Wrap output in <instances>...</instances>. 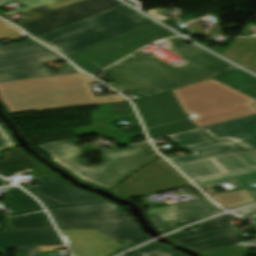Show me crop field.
I'll use <instances>...</instances> for the list:
<instances>
[{"mask_svg": "<svg viewBox=\"0 0 256 256\" xmlns=\"http://www.w3.org/2000/svg\"><path fill=\"white\" fill-rule=\"evenodd\" d=\"M38 181L41 186L28 191L41 200L48 210L111 203L97 195L77 190L54 177Z\"/></svg>", "mask_w": 256, "mask_h": 256, "instance_id": "crop-field-12", "label": "crop field"}, {"mask_svg": "<svg viewBox=\"0 0 256 256\" xmlns=\"http://www.w3.org/2000/svg\"><path fill=\"white\" fill-rule=\"evenodd\" d=\"M166 137H169L181 148L199 146L209 142H213V140H211L207 135H205L199 129L176 134V135L166 136ZM166 137H162V138H166ZM162 138H157L156 140L162 139Z\"/></svg>", "mask_w": 256, "mask_h": 256, "instance_id": "crop-field-26", "label": "crop field"}, {"mask_svg": "<svg viewBox=\"0 0 256 256\" xmlns=\"http://www.w3.org/2000/svg\"><path fill=\"white\" fill-rule=\"evenodd\" d=\"M36 163L17 148L5 153L4 160L0 161V174L8 177L22 169L37 166Z\"/></svg>", "mask_w": 256, "mask_h": 256, "instance_id": "crop-field-24", "label": "crop field"}, {"mask_svg": "<svg viewBox=\"0 0 256 256\" xmlns=\"http://www.w3.org/2000/svg\"><path fill=\"white\" fill-rule=\"evenodd\" d=\"M190 186L186 179L159 158L110 192L132 198Z\"/></svg>", "mask_w": 256, "mask_h": 256, "instance_id": "crop-field-8", "label": "crop field"}, {"mask_svg": "<svg viewBox=\"0 0 256 256\" xmlns=\"http://www.w3.org/2000/svg\"><path fill=\"white\" fill-rule=\"evenodd\" d=\"M22 36H24V34L20 32L18 29L7 23L0 21V39L6 38L10 41H13Z\"/></svg>", "mask_w": 256, "mask_h": 256, "instance_id": "crop-field-32", "label": "crop field"}, {"mask_svg": "<svg viewBox=\"0 0 256 256\" xmlns=\"http://www.w3.org/2000/svg\"><path fill=\"white\" fill-rule=\"evenodd\" d=\"M118 212L117 205H98L49 211L52 218Z\"/></svg>", "mask_w": 256, "mask_h": 256, "instance_id": "crop-field-25", "label": "crop field"}, {"mask_svg": "<svg viewBox=\"0 0 256 256\" xmlns=\"http://www.w3.org/2000/svg\"><path fill=\"white\" fill-rule=\"evenodd\" d=\"M135 103L152 139L197 128L187 119L171 91Z\"/></svg>", "mask_w": 256, "mask_h": 256, "instance_id": "crop-field-7", "label": "crop field"}, {"mask_svg": "<svg viewBox=\"0 0 256 256\" xmlns=\"http://www.w3.org/2000/svg\"><path fill=\"white\" fill-rule=\"evenodd\" d=\"M4 194L6 195V197H9V196H14V195L25 194V192H23L22 190H20L17 187H14V188H11L10 190H8Z\"/></svg>", "mask_w": 256, "mask_h": 256, "instance_id": "crop-field-37", "label": "crop field"}, {"mask_svg": "<svg viewBox=\"0 0 256 256\" xmlns=\"http://www.w3.org/2000/svg\"><path fill=\"white\" fill-rule=\"evenodd\" d=\"M215 24L217 25V27L214 28L212 31H208L206 35H222L220 29V22H216Z\"/></svg>", "mask_w": 256, "mask_h": 256, "instance_id": "crop-field-38", "label": "crop field"}, {"mask_svg": "<svg viewBox=\"0 0 256 256\" xmlns=\"http://www.w3.org/2000/svg\"><path fill=\"white\" fill-rule=\"evenodd\" d=\"M132 256H182L163 246L153 243L141 250L133 252Z\"/></svg>", "mask_w": 256, "mask_h": 256, "instance_id": "crop-field-30", "label": "crop field"}, {"mask_svg": "<svg viewBox=\"0 0 256 256\" xmlns=\"http://www.w3.org/2000/svg\"><path fill=\"white\" fill-rule=\"evenodd\" d=\"M103 72L118 81L109 84L121 92L135 91L145 97L159 94L115 65Z\"/></svg>", "mask_w": 256, "mask_h": 256, "instance_id": "crop-field-19", "label": "crop field"}, {"mask_svg": "<svg viewBox=\"0 0 256 256\" xmlns=\"http://www.w3.org/2000/svg\"><path fill=\"white\" fill-rule=\"evenodd\" d=\"M1 180H3V179L0 178V181H1Z\"/></svg>", "mask_w": 256, "mask_h": 256, "instance_id": "crop-field-43", "label": "crop field"}, {"mask_svg": "<svg viewBox=\"0 0 256 256\" xmlns=\"http://www.w3.org/2000/svg\"><path fill=\"white\" fill-rule=\"evenodd\" d=\"M250 190V192L253 194V196L256 198V188H251V189H249ZM248 190V191H249Z\"/></svg>", "mask_w": 256, "mask_h": 256, "instance_id": "crop-field-40", "label": "crop field"}, {"mask_svg": "<svg viewBox=\"0 0 256 256\" xmlns=\"http://www.w3.org/2000/svg\"><path fill=\"white\" fill-rule=\"evenodd\" d=\"M61 232L75 256H106L120 248H128L95 230H61Z\"/></svg>", "mask_w": 256, "mask_h": 256, "instance_id": "crop-field-15", "label": "crop field"}, {"mask_svg": "<svg viewBox=\"0 0 256 256\" xmlns=\"http://www.w3.org/2000/svg\"><path fill=\"white\" fill-rule=\"evenodd\" d=\"M33 169L35 170V176L34 177H40V176L50 174L49 172H47V169L42 165L38 166V167H34Z\"/></svg>", "mask_w": 256, "mask_h": 256, "instance_id": "crop-field-36", "label": "crop field"}, {"mask_svg": "<svg viewBox=\"0 0 256 256\" xmlns=\"http://www.w3.org/2000/svg\"><path fill=\"white\" fill-rule=\"evenodd\" d=\"M242 149H251L256 147V138L238 142L237 143Z\"/></svg>", "mask_w": 256, "mask_h": 256, "instance_id": "crop-field-34", "label": "crop field"}, {"mask_svg": "<svg viewBox=\"0 0 256 256\" xmlns=\"http://www.w3.org/2000/svg\"><path fill=\"white\" fill-rule=\"evenodd\" d=\"M233 220L238 219L230 215L222 216L199 228L188 232L176 233L168 238L197 252L243 242L237 235L246 234L247 232L239 233L235 228L249 225L250 223L230 227L226 222Z\"/></svg>", "mask_w": 256, "mask_h": 256, "instance_id": "crop-field-10", "label": "crop field"}, {"mask_svg": "<svg viewBox=\"0 0 256 256\" xmlns=\"http://www.w3.org/2000/svg\"><path fill=\"white\" fill-rule=\"evenodd\" d=\"M174 36L153 23L87 49L68 55L81 69L93 74L118 61L133 51L159 39ZM157 37L156 39H153Z\"/></svg>", "mask_w": 256, "mask_h": 256, "instance_id": "crop-field-5", "label": "crop field"}, {"mask_svg": "<svg viewBox=\"0 0 256 256\" xmlns=\"http://www.w3.org/2000/svg\"><path fill=\"white\" fill-rule=\"evenodd\" d=\"M202 189L219 186L220 183L231 182L240 189L250 188L256 183V168L240 172L200 179L194 181Z\"/></svg>", "mask_w": 256, "mask_h": 256, "instance_id": "crop-field-20", "label": "crop field"}, {"mask_svg": "<svg viewBox=\"0 0 256 256\" xmlns=\"http://www.w3.org/2000/svg\"><path fill=\"white\" fill-rule=\"evenodd\" d=\"M192 180L256 167V150L177 165Z\"/></svg>", "mask_w": 256, "mask_h": 256, "instance_id": "crop-field-13", "label": "crop field"}, {"mask_svg": "<svg viewBox=\"0 0 256 256\" xmlns=\"http://www.w3.org/2000/svg\"><path fill=\"white\" fill-rule=\"evenodd\" d=\"M210 197H212L214 200H216L218 203L226 208H233L255 202L253 197L248 193L246 189L211 195Z\"/></svg>", "mask_w": 256, "mask_h": 256, "instance_id": "crop-field-28", "label": "crop field"}, {"mask_svg": "<svg viewBox=\"0 0 256 256\" xmlns=\"http://www.w3.org/2000/svg\"><path fill=\"white\" fill-rule=\"evenodd\" d=\"M252 220H254L256 222V218H253Z\"/></svg>", "mask_w": 256, "mask_h": 256, "instance_id": "crop-field-42", "label": "crop field"}, {"mask_svg": "<svg viewBox=\"0 0 256 256\" xmlns=\"http://www.w3.org/2000/svg\"><path fill=\"white\" fill-rule=\"evenodd\" d=\"M77 138L37 145L46 151L53 160L72 172L81 180L104 188H111L135 170L155 159L157 154L148 142L125 149L112 147L111 152L102 153V164L88 166L82 159L92 150L88 145L77 146Z\"/></svg>", "mask_w": 256, "mask_h": 256, "instance_id": "crop-field-3", "label": "crop field"}, {"mask_svg": "<svg viewBox=\"0 0 256 256\" xmlns=\"http://www.w3.org/2000/svg\"><path fill=\"white\" fill-rule=\"evenodd\" d=\"M238 213L247 217V218L256 217V206H254L252 208H249V209H246V210H243V211H240Z\"/></svg>", "mask_w": 256, "mask_h": 256, "instance_id": "crop-field-35", "label": "crop field"}, {"mask_svg": "<svg viewBox=\"0 0 256 256\" xmlns=\"http://www.w3.org/2000/svg\"><path fill=\"white\" fill-rule=\"evenodd\" d=\"M81 6L84 10L89 11L87 14H79L74 17V15L68 12V8L72 6ZM121 5L115 0H84L77 2L54 11H49L45 5L34 9L38 13L44 15L45 17L38 20L21 25L26 31H28L33 36L37 37L51 31L69 26L78 21L86 19L90 16L98 14L100 12L106 11L113 7Z\"/></svg>", "mask_w": 256, "mask_h": 256, "instance_id": "crop-field-11", "label": "crop field"}, {"mask_svg": "<svg viewBox=\"0 0 256 256\" xmlns=\"http://www.w3.org/2000/svg\"><path fill=\"white\" fill-rule=\"evenodd\" d=\"M63 245L56 231L0 233V247L18 248L17 256H40L39 246Z\"/></svg>", "mask_w": 256, "mask_h": 256, "instance_id": "crop-field-16", "label": "crop field"}, {"mask_svg": "<svg viewBox=\"0 0 256 256\" xmlns=\"http://www.w3.org/2000/svg\"><path fill=\"white\" fill-rule=\"evenodd\" d=\"M8 231L55 230L45 212L6 219Z\"/></svg>", "mask_w": 256, "mask_h": 256, "instance_id": "crop-field-21", "label": "crop field"}, {"mask_svg": "<svg viewBox=\"0 0 256 256\" xmlns=\"http://www.w3.org/2000/svg\"><path fill=\"white\" fill-rule=\"evenodd\" d=\"M150 23L153 22L121 5L37 38L68 55Z\"/></svg>", "mask_w": 256, "mask_h": 256, "instance_id": "crop-field-4", "label": "crop field"}, {"mask_svg": "<svg viewBox=\"0 0 256 256\" xmlns=\"http://www.w3.org/2000/svg\"><path fill=\"white\" fill-rule=\"evenodd\" d=\"M188 27L192 30L194 34L203 35V33L198 28H196L192 23L188 24Z\"/></svg>", "mask_w": 256, "mask_h": 256, "instance_id": "crop-field-39", "label": "crop field"}, {"mask_svg": "<svg viewBox=\"0 0 256 256\" xmlns=\"http://www.w3.org/2000/svg\"><path fill=\"white\" fill-rule=\"evenodd\" d=\"M220 54L256 72V38H235Z\"/></svg>", "mask_w": 256, "mask_h": 256, "instance_id": "crop-field-18", "label": "crop field"}, {"mask_svg": "<svg viewBox=\"0 0 256 256\" xmlns=\"http://www.w3.org/2000/svg\"><path fill=\"white\" fill-rule=\"evenodd\" d=\"M77 1H80V0H30L31 3L24 6V8H20V9L5 13L3 15H1V14L0 15L3 16V17H6V16H9V15L18 13V12L24 13L26 11L34 9L38 6L43 5V4H45L48 9L53 10V9H56V8H59V7L77 2Z\"/></svg>", "mask_w": 256, "mask_h": 256, "instance_id": "crop-field-29", "label": "crop field"}, {"mask_svg": "<svg viewBox=\"0 0 256 256\" xmlns=\"http://www.w3.org/2000/svg\"><path fill=\"white\" fill-rule=\"evenodd\" d=\"M165 41L170 44V51L188 62L175 66L154 55L140 59L132 55L115 65L160 93L235 68L194 45L182 44L185 40L181 38Z\"/></svg>", "mask_w": 256, "mask_h": 256, "instance_id": "crop-field-2", "label": "crop field"}, {"mask_svg": "<svg viewBox=\"0 0 256 256\" xmlns=\"http://www.w3.org/2000/svg\"><path fill=\"white\" fill-rule=\"evenodd\" d=\"M214 78L256 99V78L239 70L238 68Z\"/></svg>", "mask_w": 256, "mask_h": 256, "instance_id": "crop-field-22", "label": "crop field"}, {"mask_svg": "<svg viewBox=\"0 0 256 256\" xmlns=\"http://www.w3.org/2000/svg\"><path fill=\"white\" fill-rule=\"evenodd\" d=\"M245 253L246 251L243 246L236 247L234 245L201 252L205 256H239L245 255Z\"/></svg>", "mask_w": 256, "mask_h": 256, "instance_id": "crop-field-31", "label": "crop field"}, {"mask_svg": "<svg viewBox=\"0 0 256 256\" xmlns=\"http://www.w3.org/2000/svg\"><path fill=\"white\" fill-rule=\"evenodd\" d=\"M220 210L206 198L170 205L147 211V215L158 231L173 229L176 224L185 223L193 218H205Z\"/></svg>", "mask_w": 256, "mask_h": 256, "instance_id": "crop-field-14", "label": "crop field"}, {"mask_svg": "<svg viewBox=\"0 0 256 256\" xmlns=\"http://www.w3.org/2000/svg\"><path fill=\"white\" fill-rule=\"evenodd\" d=\"M59 229H95L118 243L132 245L146 238L126 213L90 215L54 219Z\"/></svg>", "mask_w": 256, "mask_h": 256, "instance_id": "crop-field-9", "label": "crop field"}, {"mask_svg": "<svg viewBox=\"0 0 256 256\" xmlns=\"http://www.w3.org/2000/svg\"><path fill=\"white\" fill-rule=\"evenodd\" d=\"M189 151L192 154L171 159V161L174 162L175 164H178L208 157L239 152L240 150L233 143L224 141L220 143L190 149Z\"/></svg>", "mask_w": 256, "mask_h": 256, "instance_id": "crop-field-23", "label": "crop field"}, {"mask_svg": "<svg viewBox=\"0 0 256 256\" xmlns=\"http://www.w3.org/2000/svg\"><path fill=\"white\" fill-rule=\"evenodd\" d=\"M7 183H8V181H6V180H3L0 182V184H2V185H6Z\"/></svg>", "mask_w": 256, "mask_h": 256, "instance_id": "crop-field-41", "label": "crop field"}, {"mask_svg": "<svg viewBox=\"0 0 256 256\" xmlns=\"http://www.w3.org/2000/svg\"><path fill=\"white\" fill-rule=\"evenodd\" d=\"M256 107V104L254 105ZM215 141L227 139L234 142L256 137V115L201 127Z\"/></svg>", "mask_w": 256, "mask_h": 256, "instance_id": "crop-field-17", "label": "crop field"}, {"mask_svg": "<svg viewBox=\"0 0 256 256\" xmlns=\"http://www.w3.org/2000/svg\"><path fill=\"white\" fill-rule=\"evenodd\" d=\"M13 147H17V145L14 143L11 136L4 129V127L0 124V158H1V151L7 150Z\"/></svg>", "mask_w": 256, "mask_h": 256, "instance_id": "crop-field-33", "label": "crop field"}, {"mask_svg": "<svg viewBox=\"0 0 256 256\" xmlns=\"http://www.w3.org/2000/svg\"><path fill=\"white\" fill-rule=\"evenodd\" d=\"M1 203L11 208L16 215L42 210L38 202L28 194L9 197Z\"/></svg>", "mask_w": 256, "mask_h": 256, "instance_id": "crop-field-27", "label": "crop field"}, {"mask_svg": "<svg viewBox=\"0 0 256 256\" xmlns=\"http://www.w3.org/2000/svg\"><path fill=\"white\" fill-rule=\"evenodd\" d=\"M94 82L82 73L4 82L0 100L9 114L127 102L120 95L95 97Z\"/></svg>", "mask_w": 256, "mask_h": 256, "instance_id": "crop-field-1", "label": "crop field"}, {"mask_svg": "<svg viewBox=\"0 0 256 256\" xmlns=\"http://www.w3.org/2000/svg\"><path fill=\"white\" fill-rule=\"evenodd\" d=\"M62 60L57 54L26 39L18 44L0 47V82L77 72L68 63L60 73L53 74L41 63Z\"/></svg>", "mask_w": 256, "mask_h": 256, "instance_id": "crop-field-6", "label": "crop field"}]
</instances>
